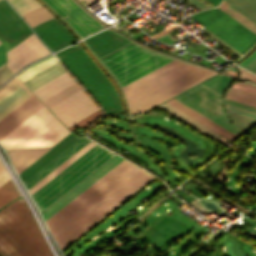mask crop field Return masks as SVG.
I'll list each match as a JSON object with an SVG mask.
<instances>
[{
  "label": "crop field",
  "instance_id": "1",
  "mask_svg": "<svg viewBox=\"0 0 256 256\" xmlns=\"http://www.w3.org/2000/svg\"><path fill=\"white\" fill-rule=\"evenodd\" d=\"M216 73L173 61L122 87L130 113L145 111Z\"/></svg>",
  "mask_w": 256,
  "mask_h": 256
},
{
  "label": "crop field",
  "instance_id": "2",
  "mask_svg": "<svg viewBox=\"0 0 256 256\" xmlns=\"http://www.w3.org/2000/svg\"><path fill=\"white\" fill-rule=\"evenodd\" d=\"M0 256H52L22 197L0 210Z\"/></svg>",
  "mask_w": 256,
  "mask_h": 256
},
{
  "label": "crop field",
  "instance_id": "3",
  "mask_svg": "<svg viewBox=\"0 0 256 256\" xmlns=\"http://www.w3.org/2000/svg\"><path fill=\"white\" fill-rule=\"evenodd\" d=\"M139 170L141 169L124 160L96 183L94 182L95 184L80 193L81 195L73 201L71 200L72 202L66 204L67 206L52 215L53 217L48 218L46 223L53 237Z\"/></svg>",
  "mask_w": 256,
  "mask_h": 256
},
{
  "label": "crop field",
  "instance_id": "4",
  "mask_svg": "<svg viewBox=\"0 0 256 256\" xmlns=\"http://www.w3.org/2000/svg\"><path fill=\"white\" fill-rule=\"evenodd\" d=\"M114 155L96 144L32 193L41 212Z\"/></svg>",
  "mask_w": 256,
  "mask_h": 256
},
{
  "label": "crop field",
  "instance_id": "5",
  "mask_svg": "<svg viewBox=\"0 0 256 256\" xmlns=\"http://www.w3.org/2000/svg\"><path fill=\"white\" fill-rule=\"evenodd\" d=\"M70 132L43 105L2 139L5 150L52 147Z\"/></svg>",
  "mask_w": 256,
  "mask_h": 256
},
{
  "label": "crop field",
  "instance_id": "6",
  "mask_svg": "<svg viewBox=\"0 0 256 256\" xmlns=\"http://www.w3.org/2000/svg\"><path fill=\"white\" fill-rule=\"evenodd\" d=\"M107 112H121L111 83L78 44L56 54ZM94 98V99H95ZM102 107V108H103Z\"/></svg>",
  "mask_w": 256,
  "mask_h": 256
},
{
  "label": "crop field",
  "instance_id": "7",
  "mask_svg": "<svg viewBox=\"0 0 256 256\" xmlns=\"http://www.w3.org/2000/svg\"><path fill=\"white\" fill-rule=\"evenodd\" d=\"M173 60L132 44L101 59L121 87Z\"/></svg>",
  "mask_w": 256,
  "mask_h": 256
},
{
  "label": "crop field",
  "instance_id": "8",
  "mask_svg": "<svg viewBox=\"0 0 256 256\" xmlns=\"http://www.w3.org/2000/svg\"><path fill=\"white\" fill-rule=\"evenodd\" d=\"M153 177L154 176L141 170L118 189L112 192L109 196L99 202L96 206L90 209L87 213L77 219L74 223L68 226L65 230L55 236L54 238L60 249L93 225L96 221L102 218L105 214H107L110 210L116 207L119 203L125 200Z\"/></svg>",
  "mask_w": 256,
  "mask_h": 256
},
{
  "label": "crop field",
  "instance_id": "9",
  "mask_svg": "<svg viewBox=\"0 0 256 256\" xmlns=\"http://www.w3.org/2000/svg\"><path fill=\"white\" fill-rule=\"evenodd\" d=\"M189 17L242 54L256 42L253 32L218 8L197 12Z\"/></svg>",
  "mask_w": 256,
  "mask_h": 256
},
{
  "label": "crop field",
  "instance_id": "10",
  "mask_svg": "<svg viewBox=\"0 0 256 256\" xmlns=\"http://www.w3.org/2000/svg\"><path fill=\"white\" fill-rule=\"evenodd\" d=\"M175 99L238 136V130L225 117L221 95L200 84Z\"/></svg>",
  "mask_w": 256,
  "mask_h": 256
},
{
  "label": "crop field",
  "instance_id": "11",
  "mask_svg": "<svg viewBox=\"0 0 256 256\" xmlns=\"http://www.w3.org/2000/svg\"><path fill=\"white\" fill-rule=\"evenodd\" d=\"M49 109L67 128L99 110L82 89Z\"/></svg>",
  "mask_w": 256,
  "mask_h": 256
},
{
  "label": "crop field",
  "instance_id": "12",
  "mask_svg": "<svg viewBox=\"0 0 256 256\" xmlns=\"http://www.w3.org/2000/svg\"><path fill=\"white\" fill-rule=\"evenodd\" d=\"M84 38L102 28L98 22L80 10L71 0H44Z\"/></svg>",
  "mask_w": 256,
  "mask_h": 256
},
{
  "label": "crop field",
  "instance_id": "13",
  "mask_svg": "<svg viewBox=\"0 0 256 256\" xmlns=\"http://www.w3.org/2000/svg\"><path fill=\"white\" fill-rule=\"evenodd\" d=\"M47 50L33 34L10 51L8 50L7 68L15 73L25 64L49 54Z\"/></svg>",
  "mask_w": 256,
  "mask_h": 256
},
{
  "label": "crop field",
  "instance_id": "14",
  "mask_svg": "<svg viewBox=\"0 0 256 256\" xmlns=\"http://www.w3.org/2000/svg\"><path fill=\"white\" fill-rule=\"evenodd\" d=\"M32 32L4 1L0 0V37L12 47L30 36Z\"/></svg>",
  "mask_w": 256,
  "mask_h": 256
},
{
  "label": "crop field",
  "instance_id": "15",
  "mask_svg": "<svg viewBox=\"0 0 256 256\" xmlns=\"http://www.w3.org/2000/svg\"><path fill=\"white\" fill-rule=\"evenodd\" d=\"M123 160L124 159L116 155L106 164L100 167L97 171H95L92 175L86 178L83 182L77 185L74 189L68 192L65 196H63L60 200H58L56 203H54L51 207H49L42 213L45 221Z\"/></svg>",
  "mask_w": 256,
  "mask_h": 256
},
{
  "label": "crop field",
  "instance_id": "16",
  "mask_svg": "<svg viewBox=\"0 0 256 256\" xmlns=\"http://www.w3.org/2000/svg\"><path fill=\"white\" fill-rule=\"evenodd\" d=\"M32 28L53 51L76 41L67 29L54 17L41 22Z\"/></svg>",
  "mask_w": 256,
  "mask_h": 256
},
{
  "label": "crop field",
  "instance_id": "17",
  "mask_svg": "<svg viewBox=\"0 0 256 256\" xmlns=\"http://www.w3.org/2000/svg\"><path fill=\"white\" fill-rule=\"evenodd\" d=\"M32 95L15 77L0 89V119Z\"/></svg>",
  "mask_w": 256,
  "mask_h": 256
},
{
  "label": "crop field",
  "instance_id": "18",
  "mask_svg": "<svg viewBox=\"0 0 256 256\" xmlns=\"http://www.w3.org/2000/svg\"><path fill=\"white\" fill-rule=\"evenodd\" d=\"M79 139L80 138L71 133L55 146H53L50 150H48L45 154H43L40 158H38L35 162H33L18 174L23 183Z\"/></svg>",
  "mask_w": 256,
  "mask_h": 256
},
{
  "label": "crop field",
  "instance_id": "19",
  "mask_svg": "<svg viewBox=\"0 0 256 256\" xmlns=\"http://www.w3.org/2000/svg\"><path fill=\"white\" fill-rule=\"evenodd\" d=\"M43 104L33 95L0 121V138Z\"/></svg>",
  "mask_w": 256,
  "mask_h": 256
},
{
  "label": "crop field",
  "instance_id": "20",
  "mask_svg": "<svg viewBox=\"0 0 256 256\" xmlns=\"http://www.w3.org/2000/svg\"><path fill=\"white\" fill-rule=\"evenodd\" d=\"M84 41L97 58L129 42L109 31H102L85 39Z\"/></svg>",
  "mask_w": 256,
  "mask_h": 256
},
{
  "label": "crop field",
  "instance_id": "21",
  "mask_svg": "<svg viewBox=\"0 0 256 256\" xmlns=\"http://www.w3.org/2000/svg\"><path fill=\"white\" fill-rule=\"evenodd\" d=\"M87 138L83 137L74 145H72L69 149H67L64 153L58 156L55 160H53L50 164L44 167L41 171H39L36 175L30 178L27 182L24 183L26 189L31 188L38 181L44 178L47 174H49L52 170H54L57 166H59L62 162H64L67 158H69L72 154H74L77 150H79L82 146H84L87 142H89Z\"/></svg>",
  "mask_w": 256,
  "mask_h": 256
},
{
  "label": "crop field",
  "instance_id": "22",
  "mask_svg": "<svg viewBox=\"0 0 256 256\" xmlns=\"http://www.w3.org/2000/svg\"><path fill=\"white\" fill-rule=\"evenodd\" d=\"M48 149L50 148L14 150V151H9L7 153L18 174L24 168H26L29 164H31L34 160H36L43 153H45Z\"/></svg>",
  "mask_w": 256,
  "mask_h": 256
},
{
  "label": "crop field",
  "instance_id": "23",
  "mask_svg": "<svg viewBox=\"0 0 256 256\" xmlns=\"http://www.w3.org/2000/svg\"><path fill=\"white\" fill-rule=\"evenodd\" d=\"M73 83L75 82L66 72L32 92L42 101Z\"/></svg>",
  "mask_w": 256,
  "mask_h": 256
},
{
  "label": "crop field",
  "instance_id": "24",
  "mask_svg": "<svg viewBox=\"0 0 256 256\" xmlns=\"http://www.w3.org/2000/svg\"><path fill=\"white\" fill-rule=\"evenodd\" d=\"M64 72L60 64L56 63L23 83L32 91Z\"/></svg>",
  "mask_w": 256,
  "mask_h": 256
},
{
  "label": "crop field",
  "instance_id": "25",
  "mask_svg": "<svg viewBox=\"0 0 256 256\" xmlns=\"http://www.w3.org/2000/svg\"><path fill=\"white\" fill-rule=\"evenodd\" d=\"M173 106L177 107L178 109L182 110L183 112L187 113L188 115L192 116L193 118L197 119L198 121L202 122L203 124L207 125L208 127L212 128L213 130L217 131L218 133L222 134L223 136L227 137L230 140H235L237 137L233 134L229 133L225 129L221 128L220 126L216 125L215 123L211 122L210 120L206 119L202 115L198 114L197 112L193 111L192 109L188 108L184 104L180 103L177 100H172L168 102Z\"/></svg>",
  "mask_w": 256,
  "mask_h": 256
},
{
  "label": "crop field",
  "instance_id": "26",
  "mask_svg": "<svg viewBox=\"0 0 256 256\" xmlns=\"http://www.w3.org/2000/svg\"><path fill=\"white\" fill-rule=\"evenodd\" d=\"M159 107L170 112L171 114L175 115L176 117L180 118L181 120L185 121L186 123L190 124L191 126L195 127L196 129L200 130L201 132L212 138L220 135L168 103H165Z\"/></svg>",
  "mask_w": 256,
  "mask_h": 256
},
{
  "label": "crop field",
  "instance_id": "27",
  "mask_svg": "<svg viewBox=\"0 0 256 256\" xmlns=\"http://www.w3.org/2000/svg\"><path fill=\"white\" fill-rule=\"evenodd\" d=\"M218 8L223 10L225 13L233 17L235 20H237L256 34V23L247 16H245L243 13L238 11L236 8L228 4L226 1L223 0Z\"/></svg>",
  "mask_w": 256,
  "mask_h": 256
},
{
  "label": "crop field",
  "instance_id": "28",
  "mask_svg": "<svg viewBox=\"0 0 256 256\" xmlns=\"http://www.w3.org/2000/svg\"><path fill=\"white\" fill-rule=\"evenodd\" d=\"M56 62H58V61L53 56H51L45 60H42V61L28 67L23 73H21L17 76L23 82Z\"/></svg>",
  "mask_w": 256,
  "mask_h": 256
},
{
  "label": "crop field",
  "instance_id": "29",
  "mask_svg": "<svg viewBox=\"0 0 256 256\" xmlns=\"http://www.w3.org/2000/svg\"><path fill=\"white\" fill-rule=\"evenodd\" d=\"M256 22V0H226Z\"/></svg>",
  "mask_w": 256,
  "mask_h": 256
},
{
  "label": "crop field",
  "instance_id": "30",
  "mask_svg": "<svg viewBox=\"0 0 256 256\" xmlns=\"http://www.w3.org/2000/svg\"><path fill=\"white\" fill-rule=\"evenodd\" d=\"M95 143L90 142L85 147H83L80 151H78L75 155H73L71 158H69L66 162H64L62 165H60L57 169H55L52 173H50L48 176H46L43 180H41L38 184H36L34 187L30 189V194L34 192L36 189H38L41 185H43L45 182H47L49 179H51L54 175H56L58 172H60L63 168H65L67 165H69L71 162H73L76 158H78L80 155H82L85 151H87L89 148H91Z\"/></svg>",
  "mask_w": 256,
  "mask_h": 256
},
{
  "label": "crop field",
  "instance_id": "31",
  "mask_svg": "<svg viewBox=\"0 0 256 256\" xmlns=\"http://www.w3.org/2000/svg\"><path fill=\"white\" fill-rule=\"evenodd\" d=\"M18 195L19 194L10 179L0 187V207L18 197Z\"/></svg>",
  "mask_w": 256,
  "mask_h": 256
},
{
  "label": "crop field",
  "instance_id": "32",
  "mask_svg": "<svg viewBox=\"0 0 256 256\" xmlns=\"http://www.w3.org/2000/svg\"><path fill=\"white\" fill-rule=\"evenodd\" d=\"M22 17L26 20V22L32 26L40 21H43L49 17H51V15L42 7H38L24 15H22Z\"/></svg>",
  "mask_w": 256,
  "mask_h": 256
},
{
  "label": "crop field",
  "instance_id": "33",
  "mask_svg": "<svg viewBox=\"0 0 256 256\" xmlns=\"http://www.w3.org/2000/svg\"><path fill=\"white\" fill-rule=\"evenodd\" d=\"M79 89H81L80 86L75 83L67 87L66 89L60 91L59 93L51 96L50 98L44 100L43 103L49 108Z\"/></svg>",
  "mask_w": 256,
  "mask_h": 256
},
{
  "label": "crop field",
  "instance_id": "34",
  "mask_svg": "<svg viewBox=\"0 0 256 256\" xmlns=\"http://www.w3.org/2000/svg\"><path fill=\"white\" fill-rule=\"evenodd\" d=\"M227 115L240 128L243 133L256 123L255 119H251L228 111Z\"/></svg>",
  "mask_w": 256,
  "mask_h": 256
},
{
  "label": "crop field",
  "instance_id": "35",
  "mask_svg": "<svg viewBox=\"0 0 256 256\" xmlns=\"http://www.w3.org/2000/svg\"><path fill=\"white\" fill-rule=\"evenodd\" d=\"M20 15L40 6L35 0H8Z\"/></svg>",
  "mask_w": 256,
  "mask_h": 256
},
{
  "label": "crop field",
  "instance_id": "36",
  "mask_svg": "<svg viewBox=\"0 0 256 256\" xmlns=\"http://www.w3.org/2000/svg\"><path fill=\"white\" fill-rule=\"evenodd\" d=\"M226 94L230 95V96H234V97L240 98V99H243V100H246V101H250V102L256 103V96L248 94V93H245V92H242V91H238V90L230 88L226 92Z\"/></svg>",
  "mask_w": 256,
  "mask_h": 256
},
{
  "label": "crop field",
  "instance_id": "37",
  "mask_svg": "<svg viewBox=\"0 0 256 256\" xmlns=\"http://www.w3.org/2000/svg\"><path fill=\"white\" fill-rule=\"evenodd\" d=\"M238 65L255 73L256 72V51L250 57H248Z\"/></svg>",
  "mask_w": 256,
  "mask_h": 256
},
{
  "label": "crop field",
  "instance_id": "38",
  "mask_svg": "<svg viewBox=\"0 0 256 256\" xmlns=\"http://www.w3.org/2000/svg\"><path fill=\"white\" fill-rule=\"evenodd\" d=\"M232 88L256 95V86L245 83V82H235Z\"/></svg>",
  "mask_w": 256,
  "mask_h": 256
},
{
  "label": "crop field",
  "instance_id": "39",
  "mask_svg": "<svg viewBox=\"0 0 256 256\" xmlns=\"http://www.w3.org/2000/svg\"><path fill=\"white\" fill-rule=\"evenodd\" d=\"M225 105H226V109L228 111L235 112V113H238V114L245 115V116L256 119V113H254V112H251V111H248V110L236 107V106H232V105H229V104H226V103H225Z\"/></svg>",
  "mask_w": 256,
  "mask_h": 256
},
{
  "label": "crop field",
  "instance_id": "40",
  "mask_svg": "<svg viewBox=\"0 0 256 256\" xmlns=\"http://www.w3.org/2000/svg\"><path fill=\"white\" fill-rule=\"evenodd\" d=\"M101 114V110L95 112L94 114L90 115L89 117L85 118L84 120L78 122L77 124L73 125L72 127L68 128L70 131L76 129L77 127L85 126L99 117Z\"/></svg>",
  "mask_w": 256,
  "mask_h": 256
},
{
  "label": "crop field",
  "instance_id": "41",
  "mask_svg": "<svg viewBox=\"0 0 256 256\" xmlns=\"http://www.w3.org/2000/svg\"><path fill=\"white\" fill-rule=\"evenodd\" d=\"M203 30L205 33H207L208 35H210L212 38H214L216 41H218L219 43H221L223 46H225L226 48H228L230 51H232L233 53H235L237 56H241L242 54H240L238 51H236L235 49H233L231 46H229L228 44H226L225 42H223L221 39H219L218 37H216L214 34H212L211 32H209L207 29L203 28L201 29Z\"/></svg>",
  "mask_w": 256,
  "mask_h": 256
},
{
  "label": "crop field",
  "instance_id": "42",
  "mask_svg": "<svg viewBox=\"0 0 256 256\" xmlns=\"http://www.w3.org/2000/svg\"><path fill=\"white\" fill-rule=\"evenodd\" d=\"M11 76H12V74L6 69L4 64L1 65L0 66V84H2L4 81H6Z\"/></svg>",
  "mask_w": 256,
  "mask_h": 256
},
{
  "label": "crop field",
  "instance_id": "43",
  "mask_svg": "<svg viewBox=\"0 0 256 256\" xmlns=\"http://www.w3.org/2000/svg\"><path fill=\"white\" fill-rule=\"evenodd\" d=\"M239 71H240V77L241 78H244V79H248V80H252V81H255L256 82V76L238 68Z\"/></svg>",
  "mask_w": 256,
  "mask_h": 256
},
{
  "label": "crop field",
  "instance_id": "44",
  "mask_svg": "<svg viewBox=\"0 0 256 256\" xmlns=\"http://www.w3.org/2000/svg\"><path fill=\"white\" fill-rule=\"evenodd\" d=\"M188 2H190L191 4H193L195 7H197L200 10L209 8L206 4H204L202 1L200 0H187Z\"/></svg>",
  "mask_w": 256,
  "mask_h": 256
},
{
  "label": "crop field",
  "instance_id": "45",
  "mask_svg": "<svg viewBox=\"0 0 256 256\" xmlns=\"http://www.w3.org/2000/svg\"><path fill=\"white\" fill-rule=\"evenodd\" d=\"M9 176L6 173L5 169L0 173V186L4 184L7 180H9Z\"/></svg>",
  "mask_w": 256,
  "mask_h": 256
},
{
  "label": "crop field",
  "instance_id": "46",
  "mask_svg": "<svg viewBox=\"0 0 256 256\" xmlns=\"http://www.w3.org/2000/svg\"><path fill=\"white\" fill-rule=\"evenodd\" d=\"M3 62H5V52L2 44L0 43V64H2Z\"/></svg>",
  "mask_w": 256,
  "mask_h": 256
},
{
  "label": "crop field",
  "instance_id": "47",
  "mask_svg": "<svg viewBox=\"0 0 256 256\" xmlns=\"http://www.w3.org/2000/svg\"><path fill=\"white\" fill-rule=\"evenodd\" d=\"M225 97L229 98V99H232V100H235V101H238V102H241V103H244V104H248V105L256 107V104H253V103H249V102H246V101H243V100H240V99H237V98H233V97H230V96H227V95Z\"/></svg>",
  "mask_w": 256,
  "mask_h": 256
},
{
  "label": "crop field",
  "instance_id": "48",
  "mask_svg": "<svg viewBox=\"0 0 256 256\" xmlns=\"http://www.w3.org/2000/svg\"><path fill=\"white\" fill-rule=\"evenodd\" d=\"M209 1L217 6L221 0H209Z\"/></svg>",
  "mask_w": 256,
  "mask_h": 256
},
{
  "label": "crop field",
  "instance_id": "49",
  "mask_svg": "<svg viewBox=\"0 0 256 256\" xmlns=\"http://www.w3.org/2000/svg\"><path fill=\"white\" fill-rule=\"evenodd\" d=\"M79 1L81 2L82 0H79ZM83 1H85V2L87 3V2H89L90 0H83Z\"/></svg>",
  "mask_w": 256,
  "mask_h": 256
},
{
  "label": "crop field",
  "instance_id": "50",
  "mask_svg": "<svg viewBox=\"0 0 256 256\" xmlns=\"http://www.w3.org/2000/svg\"><path fill=\"white\" fill-rule=\"evenodd\" d=\"M3 170L2 166L0 165V171Z\"/></svg>",
  "mask_w": 256,
  "mask_h": 256
}]
</instances>
